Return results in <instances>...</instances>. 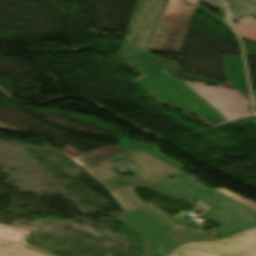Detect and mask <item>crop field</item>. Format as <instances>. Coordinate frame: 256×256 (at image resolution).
I'll return each instance as SVG.
<instances>
[{"instance_id":"obj_1","label":"crop field","mask_w":256,"mask_h":256,"mask_svg":"<svg viewBox=\"0 0 256 256\" xmlns=\"http://www.w3.org/2000/svg\"><path fill=\"white\" fill-rule=\"evenodd\" d=\"M124 224L132 227L143 239L144 256H167L180 245L196 241H216L214 234L199 233L159 218L149 210L124 215Z\"/></svg>"},{"instance_id":"obj_5","label":"crop field","mask_w":256,"mask_h":256,"mask_svg":"<svg viewBox=\"0 0 256 256\" xmlns=\"http://www.w3.org/2000/svg\"><path fill=\"white\" fill-rule=\"evenodd\" d=\"M168 1L139 0L121 48L148 50Z\"/></svg>"},{"instance_id":"obj_2","label":"crop field","mask_w":256,"mask_h":256,"mask_svg":"<svg viewBox=\"0 0 256 256\" xmlns=\"http://www.w3.org/2000/svg\"><path fill=\"white\" fill-rule=\"evenodd\" d=\"M227 82L216 87L185 83L229 121L250 117L248 100L240 95L247 90L241 56H223Z\"/></svg>"},{"instance_id":"obj_18","label":"crop field","mask_w":256,"mask_h":256,"mask_svg":"<svg viewBox=\"0 0 256 256\" xmlns=\"http://www.w3.org/2000/svg\"><path fill=\"white\" fill-rule=\"evenodd\" d=\"M253 94H254V97H255V100H256V92L253 91ZM255 110H256V104H255Z\"/></svg>"},{"instance_id":"obj_13","label":"crop field","mask_w":256,"mask_h":256,"mask_svg":"<svg viewBox=\"0 0 256 256\" xmlns=\"http://www.w3.org/2000/svg\"><path fill=\"white\" fill-rule=\"evenodd\" d=\"M123 149H125V148H123V147H116V146H115V147H113V148H111V149H109V150H107V151H104V152H102V153H99V154H97V155H95V156L101 158L102 160L108 162L109 164L115 166L117 169H119L120 171L123 172V171H125V170H127V169H125V168H123V167H121V166H119V165H117V164H115V163H113V162H111V161H109V160L106 159L107 157H109V156H111V155H113V154H115V153H117V152H119V151H121V150H123ZM128 171H129V170H128Z\"/></svg>"},{"instance_id":"obj_14","label":"crop field","mask_w":256,"mask_h":256,"mask_svg":"<svg viewBox=\"0 0 256 256\" xmlns=\"http://www.w3.org/2000/svg\"><path fill=\"white\" fill-rule=\"evenodd\" d=\"M198 8H200L202 11H204L205 13H207L209 16H211L213 19H215L216 21H218L220 24H222L223 26H225L227 29L230 30V28L227 26V24L225 22H223L221 19H219L218 17H216L215 15H213L211 12H209L208 10H206L205 8H203L201 5L198 6Z\"/></svg>"},{"instance_id":"obj_9","label":"crop field","mask_w":256,"mask_h":256,"mask_svg":"<svg viewBox=\"0 0 256 256\" xmlns=\"http://www.w3.org/2000/svg\"><path fill=\"white\" fill-rule=\"evenodd\" d=\"M112 195L119 201V203L125 209V213L149 209L159 217L163 218L160 214L155 212L153 209H151L144 203L140 202L131 189L114 193Z\"/></svg>"},{"instance_id":"obj_4","label":"crop field","mask_w":256,"mask_h":256,"mask_svg":"<svg viewBox=\"0 0 256 256\" xmlns=\"http://www.w3.org/2000/svg\"><path fill=\"white\" fill-rule=\"evenodd\" d=\"M196 10L183 0H170L150 51L180 52Z\"/></svg>"},{"instance_id":"obj_3","label":"crop field","mask_w":256,"mask_h":256,"mask_svg":"<svg viewBox=\"0 0 256 256\" xmlns=\"http://www.w3.org/2000/svg\"><path fill=\"white\" fill-rule=\"evenodd\" d=\"M108 159L128 168L137 176L128 178L117 176L101 181L110 192H117L132 188L130 184H147L151 188L169 184L166 179L169 175H177L180 180L192 178L170 164L141 150L128 148Z\"/></svg>"},{"instance_id":"obj_20","label":"crop field","mask_w":256,"mask_h":256,"mask_svg":"<svg viewBox=\"0 0 256 256\" xmlns=\"http://www.w3.org/2000/svg\"><path fill=\"white\" fill-rule=\"evenodd\" d=\"M252 231L256 233V230H252Z\"/></svg>"},{"instance_id":"obj_12","label":"crop field","mask_w":256,"mask_h":256,"mask_svg":"<svg viewBox=\"0 0 256 256\" xmlns=\"http://www.w3.org/2000/svg\"><path fill=\"white\" fill-rule=\"evenodd\" d=\"M217 190L220 191V192H222V193H224L225 195L231 197L232 199H234V200L240 202L241 204H243V205L249 207L250 209L256 211V203L251 202V201H248V200H246V199H244V198H242V197H240V196L234 194L233 192H231V191H229V190H227V189H225V188H219V189H217Z\"/></svg>"},{"instance_id":"obj_15","label":"crop field","mask_w":256,"mask_h":256,"mask_svg":"<svg viewBox=\"0 0 256 256\" xmlns=\"http://www.w3.org/2000/svg\"><path fill=\"white\" fill-rule=\"evenodd\" d=\"M111 147H113V146H108V147L103 148V149H101V150H98V151H96V152H93V153H90V154H87V155H84V156H80V157H85V156H89V155H95V154H97V153H99V152H102V151H104V150H107V149H109V148H111Z\"/></svg>"},{"instance_id":"obj_10","label":"crop field","mask_w":256,"mask_h":256,"mask_svg":"<svg viewBox=\"0 0 256 256\" xmlns=\"http://www.w3.org/2000/svg\"><path fill=\"white\" fill-rule=\"evenodd\" d=\"M118 146L141 149V150H144V151L170 163L171 165H173L179 169L184 167V166L170 160L169 158L165 157L164 155L160 154L159 150L155 144L121 140Z\"/></svg>"},{"instance_id":"obj_8","label":"crop field","mask_w":256,"mask_h":256,"mask_svg":"<svg viewBox=\"0 0 256 256\" xmlns=\"http://www.w3.org/2000/svg\"><path fill=\"white\" fill-rule=\"evenodd\" d=\"M75 160L79 165L89 171L98 181L117 176L115 173L107 169L111 165L96 158L95 156L75 158Z\"/></svg>"},{"instance_id":"obj_11","label":"crop field","mask_w":256,"mask_h":256,"mask_svg":"<svg viewBox=\"0 0 256 256\" xmlns=\"http://www.w3.org/2000/svg\"><path fill=\"white\" fill-rule=\"evenodd\" d=\"M241 23H232L238 33L250 40L256 41V20L253 17H244Z\"/></svg>"},{"instance_id":"obj_6","label":"crop field","mask_w":256,"mask_h":256,"mask_svg":"<svg viewBox=\"0 0 256 256\" xmlns=\"http://www.w3.org/2000/svg\"><path fill=\"white\" fill-rule=\"evenodd\" d=\"M171 256H256V234L245 232L224 243L189 244Z\"/></svg>"},{"instance_id":"obj_19","label":"crop field","mask_w":256,"mask_h":256,"mask_svg":"<svg viewBox=\"0 0 256 256\" xmlns=\"http://www.w3.org/2000/svg\"><path fill=\"white\" fill-rule=\"evenodd\" d=\"M136 186H147V185H132V187H136Z\"/></svg>"},{"instance_id":"obj_7","label":"crop field","mask_w":256,"mask_h":256,"mask_svg":"<svg viewBox=\"0 0 256 256\" xmlns=\"http://www.w3.org/2000/svg\"><path fill=\"white\" fill-rule=\"evenodd\" d=\"M24 233L0 226V256H46L25 248L19 241Z\"/></svg>"},{"instance_id":"obj_16","label":"crop field","mask_w":256,"mask_h":256,"mask_svg":"<svg viewBox=\"0 0 256 256\" xmlns=\"http://www.w3.org/2000/svg\"><path fill=\"white\" fill-rule=\"evenodd\" d=\"M198 210L204 213V212L210 210V207L206 209V208H204V206L202 204H200L198 207Z\"/></svg>"},{"instance_id":"obj_17","label":"crop field","mask_w":256,"mask_h":256,"mask_svg":"<svg viewBox=\"0 0 256 256\" xmlns=\"http://www.w3.org/2000/svg\"><path fill=\"white\" fill-rule=\"evenodd\" d=\"M186 1L192 3V4L195 5V6H197L198 3H199V0H186Z\"/></svg>"}]
</instances>
